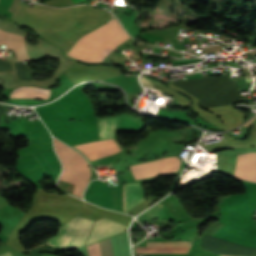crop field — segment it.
Here are the masks:
<instances>
[{
    "instance_id": "obj_1",
    "label": "crop field",
    "mask_w": 256,
    "mask_h": 256,
    "mask_svg": "<svg viewBox=\"0 0 256 256\" xmlns=\"http://www.w3.org/2000/svg\"><path fill=\"white\" fill-rule=\"evenodd\" d=\"M127 38L118 22L113 19L83 36L67 54L73 58L89 62H101Z\"/></svg>"
},
{
    "instance_id": "obj_2",
    "label": "crop field",
    "mask_w": 256,
    "mask_h": 256,
    "mask_svg": "<svg viewBox=\"0 0 256 256\" xmlns=\"http://www.w3.org/2000/svg\"><path fill=\"white\" fill-rule=\"evenodd\" d=\"M115 125H116V118L98 119L100 140L114 138ZM114 144H115L114 141L110 139V140H103V141L76 145L75 147L80 151H84V150H89V149H94V148H99V147H104V146H109ZM119 151L120 150L118 149V147L114 145V146L84 151V153L87 155L90 161H92L101 157H105V156L117 153Z\"/></svg>"
},
{
    "instance_id": "obj_3",
    "label": "crop field",
    "mask_w": 256,
    "mask_h": 256,
    "mask_svg": "<svg viewBox=\"0 0 256 256\" xmlns=\"http://www.w3.org/2000/svg\"><path fill=\"white\" fill-rule=\"evenodd\" d=\"M80 219H81L80 217L75 216L70 221H68L66 224L61 226L58 234L55 237L50 238L48 240L53 242L58 247L65 249L66 246L68 245ZM92 222L93 221H91V220H87V219H83V218L81 219L66 250L76 249L79 246L83 245V243L85 242V240L89 234Z\"/></svg>"
},
{
    "instance_id": "obj_4",
    "label": "crop field",
    "mask_w": 256,
    "mask_h": 256,
    "mask_svg": "<svg viewBox=\"0 0 256 256\" xmlns=\"http://www.w3.org/2000/svg\"><path fill=\"white\" fill-rule=\"evenodd\" d=\"M128 227L117 223L115 221L109 220L107 218L98 220L94 223L93 230L86 242V245L94 242L99 241L110 236L122 233L126 231ZM85 245V246H86Z\"/></svg>"
},
{
    "instance_id": "obj_5",
    "label": "crop field",
    "mask_w": 256,
    "mask_h": 256,
    "mask_svg": "<svg viewBox=\"0 0 256 256\" xmlns=\"http://www.w3.org/2000/svg\"><path fill=\"white\" fill-rule=\"evenodd\" d=\"M235 166L236 177L254 182L256 173V153L236 155Z\"/></svg>"
},
{
    "instance_id": "obj_6",
    "label": "crop field",
    "mask_w": 256,
    "mask_h": 256,
    "mask_svg": "<svg viewBox=\"0 0 256 256\" xmlns=\"http://www.w3.org/2000/svg\"><path fill=\"white\" fill-rule=\"evenodd\" d=\"M146 246H190V243L147 242ZM189 247H136V253H187Z\"/></svg>"
},
{
    "instance_id": "obj_7",
    "label": "crop field",
    "mask_w": 256,
    "mask_h": 256,
    "mask_svg": "<svg viewBox=\"0 0 256 256\" xmlns=\"http://www.w3.org/2000/svg\"><path fill=\"white\" fill-rule=\"evenodd\" d=\"M0 44H7L8 49H13L18 60L29 59L23 43V37L0 30Z\"/></svg>"
},
{
    "instance_id": "obj_8",
    "label": "crop field",
    "mask_w": 256,
    "mask_h": 256,
    "mask_svg": "<svg viewBox=\"0 0 256 256\" xmlns=\"http://www.w3.org/2000/svg\"><path fill=\"white\" fill-rule=\"evenodd\" d=\"M145 201L140 183L125 184V211ZM123 211H124V185H123Z\"/></svg>"
},
{
    "instance_id": "obj_9",
    "label": "crop field",
    "mask_w": 256,
    "mask_h": 256,
    "mask_svg": "<svg viewBox=\"0 0 256 256\" xmlns=\"http://www.w3.org/2000/svg\"><path fill=\"white\" fill-rule=\"evenodd\" d=\"M50 96V90L38 89L33 87H20L15 89L10 98H41L47 99Z\"/></svg>"
},
{
    "instance_id": "obj_10",
    "label": "crop field",
    "mask_w": 256,
    "mask_h": 256,
    "mask_svg": "<svg viewBox=\"0 0 256 256\" xmlns=\"http://www.w3.org/2000/svg\"><path fill=\"white\" fill-rule=\"evenodd\" d=\"M159 160L130 167L136 180L157 175Z\"/></svg>"
},
{
    "instance_id": "obj_11",
    "label": "crop field",
    "mask_w": 256,
    "mask_h": 256,
    "mask_svg": "<svg viewBox=\"0 0 256 256\" xmlns=\"http://www.w3.org/2000/svg\"><path fill=\"white\" fill-rule=\"evenodd\" d=\"M87 248L90 256H101L98 243L90 245Z\"/></svg>"
},
{
    "instance_id": "obj_12",
    "label": "crop field",
    "mask_w": 256,
    "mask_h": 256,
    "mask_svg": "<svg viewBox=\"0 0 256 256\" xmlns=\"http://www.w3.org/2000/svg\"><path fill=\"white\" fill-rule=\"evenodd\" d=\"M72 1H73V3H76V2H80L82 0H72Z\"/></svg>"
}]
</instances>
